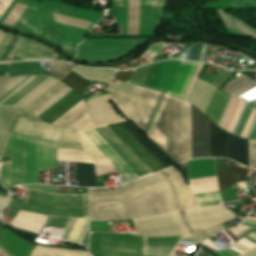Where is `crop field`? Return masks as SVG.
I'll return each mask as SVG.
<instances>
[{"label": "crop field", "mask_w": 256, "mask_h": 256, "mask_svg": "<svg viewBox=\"0 0 256 256\" xmlns=\"http://www.w3.org/2000/svg\"><path fill=\"white\" fill-rule=\"evenodd\" d=\"M198 206L181 177L127 197L89 199L90 221L126 220ZM235 218L220 205L203 206L133 219L137 235H184L210 229Z\"/></svg>", "instance_id": "1"}, {"label": "crop field", "mask_w": 256, "mask_h": 256, "mask_svg": "<svg viewBox=\"0 0 256 256\" xmlns=\"http://www.w3.org/2000/svg\"><path fill=\"white\" fill-rule=\"evenodd\" d=\"M66 87L67 86L65 84L59 81L25 108L33 113ZM134 87L135 86L133 85L124 84L117 81L116 85L112 84L107 91L130 98ZM70 91H72V89L67 87L44 106L34 112V114L36 116L41 115ZM81 101H83L81 96L73 90L45 113L39 116V118L52 124ZM85 105L91 120L96 126L124 121V119L120 117L110 106L106 97L88 101L85 103ZM86 110L83 101L58 121H56L53 125L57 127L75 128L77 131L95 127L88 117Z\"/></svg>", "instance_id": "2"}, {"label": "crop field", "mask_w": 256, "mask_h": 256, "mask_svg": "<svg viewBox=\"0 0 256 256\" xmlns=\"http://www.w3.org/2000/svg\"><path fill=\"white\" fill-rule=\"evenodd\" d=\"M124 123L167 167L172 165L157 149L152 147L128 121H124ZM124 123L120 122L109 126L133 149V151L154 172L166 168V166L144 145V143ZM94 129L84 130V132L119 165L124 183L140 178ZM84 132H78L84 152L58 149L57 160L94 164L95 176L108 172H120L118 165Z\"/></svg>", "instance_id": "3"}, {"label": "crop field", "mask_w": 256, "mask_h": 256, "mask_svg": "<svg viewBox=\"0 0 256 256\" xmlns=\"http://www.w3.org/2000/svg\"><path fill=\"white\" fill-rule=\"evenodd\" d=\"M57 148L83 151L81 144L48 141L19 133H12L3 156L11 164H2L0 179L9 191L19 184H36L38 172L56 168Z\"/></svg>", "instance_id": "4"}, {"label": "crop field", "mask_w": 256, "mask_h": 256, "mask_svg": "<svg viewBox=\"0 0 256 256\" xmlns=\"http://www.w3.org/2000/svg\"><path fill=\"white\" fill-rule=\"evenodd\" d=\"M53 195H85L55 193V187L21 186ZM26 190V200L9 198L6 207L49 216L45 225L66 228L71 217L86 216L85 196H53Z\"/></svg>", "instance_id": "5"}, {"label": "crop field", "mask_w": 256, "mask_h": 256, "mask_svg": "<svg viewBox=\"0 0 256 256\" xmlns=\"http://www.w3.org/2000/svg\"><path fill=\"white\" fill-rule=\"evenodd\" d=\"M202 65L176 60L160 61L133 70L128 83L148 87L185 100Z\"/></svg>", "instance_id": "6"}, {"label": "crop field", "mask_w": 256, "mask_h": 256, "mask_svg": "<svg viewBox=\"0 0 256 256\" xmlns=\"http://www.w3.org/2000/svg\"><path fill=\"white\" fill-rule=\"evenodd\" d=\"M169 95L160 93L144 133L160 148L165 150L168 139L155 130L158 120ZM161 133L170 139L165 152L179 163V131H178V99L169 97L162 116L156 127Z\"/></svg>", "instance_id": "7"}, {"label": "crop field", "mask_w": 256, "mask_h": 256, "mask_svg": "<svg viewBox=\"0 0 256 256\" xmlns=\"http://www.w3.org/2000/svg\"><path fill=\"white\" fill-rule=\"evenodd\" d=\"M25 77H0V96ZM57 80L43 76L26 77L0 97V106H26Z\"/></svg>", "instance_id": "8"}, {"label": "crop field", "mask_w": 256, "mask_h": 256, "mask_svg": "<svg viewBox=\"0 0 256 256\" xmlns=\"http://www.w3.org/2000/svg\"><path fill=\"white\" fill-rule=\"evenodd\" d=\"M88 250L98 256H142L143 238L132 235L91 234Z\"/></svg>", "instance_id": "9"}, {"label": "crop field", "mask_w": 256, "mask_h": 256, "mask_svg": "<svg viewBox=\"0 0 256 256\" xmlns=\"http://www.w3.org/2000/svg\"><path fill=\"white\" fill-rule=\"evenodd\" d=\"M158 94V92L137 87L131 99L119 95L109 96V98L144 131Z\"/></svg>", "instance_id": "10"}, {"label": "crop field", "mask_w": 256, "mask_h": 256, "mask_svg": "<svg viewBox=\"0 0 256 256\" xmlns=\"http://www.w3.org/2000/svg\"><path fill=\"white\" fill-rule=\"evenodd\" d=\"M211 157H225L248 166V140L228 134L210 122Z\"/></svg>", "instance_id": "11"}, {"label": "crop field", "mask_w": 256, "mask_h": 256, "mask_svg": "<svg viewBox=\"0 0 256 256\" xmlns=\"http://www.w3.org/2000/svg\"><path fill=\"white\" fill-rule=\"evenodd\" d=\"M14 131L48 140L80 143L75 129L57 128L45 122L22 117L19 118Z\"/></svg>", "instance_id": "12"}, {"label": "crop field", "mask_w": 256, "mask_h": 256, "mask_svg": "<svg viewBox=\"0 0 256 256\" xmlns=\"http://www.w3.org/2000/svg\"><path fill=\"white\" fill-rule=\"evenodd\" d=\"M180 175V172L173 167L127 185L118 186L117 190L109 191L108 188L90 189L89 198L127 196Z\"/></svg>", "instance_id": "13"}, {"label": "crop field", "mask_w": 256, "mask_h": 256, "mask_svg": "<svg viewBox=\"0 0 256 256\" xmlns=\"http://www.w3.org/2000/svg\"><path fill=\"white\" fill-rule=\"evenodd\" d=\"M107 143L130 165L140 176H145L153 171L131 150V148L110 128L96 130Z\"/></svg>", "instance_id": "14"}, {"label": "crop field", "mask_w": 256, "mask_h": 256, "mask_svg": "<svg viewBox=\"0 0 256 256\" xmlns=\"http://www.w3.org/2000/svg\"><path fill=\"white\" fill-rule=\"evenodd\" d=\"M192 158L210 157L209 120L191 106Z\"/></svg>", "instance_id": "15"}, {"label": "crop field", "mask_w": 256, "mask_h": 256, "mask_svg": "<svg viewBox=\"0 0 256 256\" xmlns=\"http://www.w3.org/2000/svg\"><path fill=\"white\" fill-rule=\"evenodd\" d=\"M134 49L135 46L81 45L77 59L89 62L111 61Z\"/></svg>", "instance_id": "16"}, {"label": "crop field", "mask_w": 256, "mask_h": 256, "mask_svg": "<svg viewBox=\"0 0 256 256\" xmlns=\"http://www.w3.org/2000/svg\"><path fill=\"white\" fill-rule=\"evenodd\" d=\"M56 52L24 37H20L11 55L14 61L20 60H51Z\"/></svg>", "instance_id": "17"}, {"label": "crop field", "mask_w": 256, "mask_h": 256, "mask_svg": "<svg viewBox=\"0 0 256 256\" xmlns=\"http://www.w3.org/2000/svg\"><path fill=\"white\" fill-rule=\"evenodd\" d=\"M199 206L219 204L220 196L215 177L188 181Z\"/></svg>", "instance_id": "18"}, {"label": "crop field", "mask_w": 256, "mask_h": 256, "mask_svg": "<svg viewBox=\"0 0 256 256\" xmlns=\"http://www.w3.org/2000/svg\"><path fill=\"white\" fill-rule=\"evenodd\" d=\"M8 108L17 115H20L22 117L40 120L24 107ZM9 109H7L6 107H0V155L4 149L7 139L12 131V128L17 120V115H15Z\"/></svg>", "instance_id": "19"}, {"label": "crop field", "mask_w": 256, "mask_h": 256, "mask_svg": "<svg viewBox=\"0 0 256 256\" xmlns=\"http://www.w3.org/2000/svg\"><path fill=\"white\" fill-rule=\"evenodd\" d=\"M180 162L191 159L190 104L179 100Z\"/></svg>", "instance_id": "20"}, {"label": "crop field", "mask_w": 256, "mask_h": 256, "mask_svg": "<svg viewBox=\"0 0 256 256\" xmlns=\"http://www.w3.org/2000/svg\"><path fill=\"white\" fill-rule=\"evenodd\" d=\"M0 247L12 256H29L35 246L0 225Z\"/></svg>", "instance_id": "21"}, {"label": "crop field", "mask_w": 256, "mask_h": 256, "mask_svg": "<svg viewBox=\"0 0 256 256\" xmlns=\"http://www.w3.org/2000/svg\"><path fill=\"white\" fill-rule=\"evenodd\" d=\"M181 236L149 238L145 237L144 255H170Z\"/></svg>", "instance_id": "22"}, {"label": "crop field", "mask_w": 256, "mask_h": 256, "mask_svg": "<svg viewBox=\"0 0 256 256\" xmlns=\"http://www.w3.org/2000/svg\"><path fill=\"white\" fill-rule=\"evenodd\" d=\"M215 89L216 88L200 80H196L187 101L191 102L193 105L199 108L203 113H205L208 107V104L215 92Z\"/></svg>", "instance_id": "23"}, {"label": "crop field", "mask_w": 256, "mask_h": 256, "mask_svg": "<svg viewBox=\"0 0 256 256\" xmlns=\"http://www.w3.org/2000/svg\"><path fill=\"white\" fill-rule=\"evenodd\" d=\"M62 239L72 241V242L87 244L88 217L72 218Z\"/></svg>", "instance_id": "24"}, {"label": "crop field", "mask_w": 256, "mask_h": 256, "mask_svg": "<svg viewBox=\"0 0 256 256\" xmlns=\"http://www.w3.org/2000/svg\"><path fill=\"white\" fill-rule=\"evenodd\" d=\"M46 219V216L19 211L10 225L39 233Z\"/></svg>", "instance_id": "25"}, {"label": "crop field", "mask_w": 256, "mask_h": 256, "mask_svg": "<svg viewBox=\"0 0 256 256\" xmlns=\"http://www.w3.org/2000/svg\"><path fill=\"white\" fill-rule=\"evenodd\" d=\"M219 189L222 190L247 178L248 170L234 166L232 169L216 168Z\"/></svg>", "instance_id": "26"}, {"label": "crop field", "mask_w": 256, "mask_h": 256, "mask_svg": "<svg viewBox=\"0 0 256 256\" xmlns=\"http://www.w3.org/2000/svg\"><path fill=\"white\" fill-rule=\"evenodd\" d=\"M256 86V83L246 78L245 76H240L232 81H230L222 91L227 94L233 95L235 97L241 95L242 93L248 91L249 89Z\"/></svg>", "instance_id": "27"}, {"label": "crop field", "mask_w": 256, "mask_h": 256, "mask_svg": "<svg viewBox=\"0 0 256 256\" xmlns=\"http://www.w3.org/2000/svg\"><path fill=\"white\" fill-rule=\"evenodd\" d=\"M72 71L80 74L86 80L104 82V83H108L110 80V77L114 73V70H110V69L90 70V69L79 68V67H75V66L73 67Z\"/></svg>", "instance_id": "28"}, {"label": "crop field", "mask_w": 256, "mask_h": 256, "mask_svg": "<svg viewBox=\"0 0 256 256\" xmlns=\"http://www.w3.org/2000/svg\"><path fill=\"white\" fill-rule=\"evenodd\" d=\"M78 186L95 187L93 165L76 163Z\"/></svg>", "instance_id": "29"}, {"label": "crop field", "mask_w": 256, "mask_h": 256, "mask_svg": "<svg viewBox=\"0 0 256 256\" xmlns=\"http://www.w3.org/2000/svg\"><path fill=\"white\" fill-rule=\"evenodd\" d=\"M223 22L224 25L249 37V38H256V31L251 29L250 27L246 26L245 24L241 23L240 21L236 20L235 18L231 17L230 15L222 12V11H218Z\"/></svg>", "instance_id": "30"}, {"label": "crop field", "mask_w": 256, "mask_h": 256, "mask_svg": "<svg viewBox=\"0 0 256 256\" xmlns=\"http://www.w3.org/2000/svg\"><path fill=\"white\" fill-rule=\"evenodd\" d=\"M32 254L37 256H90L85 251H70L66 249L48 248L36 245Z\"/></svg>", "instance_id": "31"}, {"label": "crop field", "mask_w": 256, "mask_h": 256, "mask_svg": "<svg viewBox=\"0 0 256 256\" xmlns=\"http://www.w3.org/2000/svg\"><path fill=\"white\" fill-rule=\"evenodd\" d=\"M20 36L0 31V62L7 60Z\"/></svg>", "instance_id": "32"}, {"label": "crop field", "mask_w": 256, "mask_h": 256, "mask_svg": "<svg viewBox=\"0 0 256 256\" xmlns=\"http://www.w3.org/2000/svg\"><path fill=\"white\" fill-rule=\"evenodd\" d=\"M138 0H128L127 34H137Z\"/></svg>", "instance_id": "33"}, {"label": "crop field", "mask_w": 256, "mask_h": 256, "mask_svg": "<svg viewBox=\"0 0 256 256\" xmlns=\"http://www.w3.org/2000/svg\"><path fill=\"white\" fill-rule=\"evenodd\" d=\"M203 47H205V45L201 42H198L176 58L187 61H201L203 55Z\"/></svg>", "instance_id": "34"}, {"label": "crop field", "mask_w": 256, "mask_h": 256, "mask_svg": "<svg viewBox=\"0 0 256 256\" xmlns=\"http://www.w3.org/2000/svg\"><path fill=\"white\" fill-rule=\"evenodd\" d=\"M62 81H64L65 83L72 86L73 88H75L78 91L85 89L91 85L90 83L83 80L82 78H80L79 76L75 75L72 72L70 74H68Z\"/></svg>", "instance_id": "35"}, {"label": "crop field", "mask_w": 256, "mask_h": 256, "mask_svg": "<svg viewBox=\"0 0 256 256\" xmlns=\"http://www.w3.org/2000/svg\"><path fill=\"white\" fill-rule=\"evenodd\" d=\"M222 230H224V228L222 227V225H220V226L212 228L210 230L185 235V236L182 237V239H185V240H205L207 237H209V236H211V235H213L217 232H220Z\"/></svg>", "instance_id": "36"}, {"label": "crop field", "mask_w": 256, "mask_h": 256, "mask_svg": "<svg viewBox=\"0 0 256 256\" xmlns=\"http://www.w3.org/2000/svg\"><path fill=\"white\" fill-rule=\"evenodd\" d=\"M254 244L248 242L245 239H242L237 244L233 245L231 248L227 250H223L230 254L231 256H240L245 251H247L249 248H251Z\"/></svg>", "instance_id": "37"}, {"label": "crop field", "mask_w": 256, "mask_h": 256, "mask_svg": "<svg viewBox=\"0 0 256 256\" xmlns=\"http://www.w3.org/2000/svg\"><path fill=\"white\" fill-rule=\"evenodd\" d=\"M165 46H167V44L165 43L154 44L150 48H148L144 54L141 55V58L147 59V60H157V59L165 58L157 54Z\"/></svg>", "instance_id": "38"}, {"label": "crop field", "mask_w": 256, "mask_h": 256, "mask_svg": "<svg viewBox=\"0 0 256 256\" xmlns=\"http://www.w3.org/2000/svg\"><path fill=\"white\" fill-rule=\"evenodd\" d=\"M26 6H27V3L18 1V3L16 4L12 12L9 14L7 19L5 20V23L14 25V23L16 22V20L18 19V17L23 12Z\"/></svg>", "instance_id": "39"}, {"label": "crop field", "mask_w": 256, "mask_h": 256, "mask_svg": "<svg viewBox=\"0 0 256 256\" xmlns=\"http://www.w3.org/2000/svg\"><path fill=\"white\" fill-rule=\"evenodd\" d=\"M232 72L233 71L222 70L218 77L210 74L209 78L207 79V82L214 84L217 88L220 89V87L223 85V83L226 81V79L230 76Z\"/></svg>", "instance_id": "40"}, {"label": "crop field", "mask_w": 256, "mask_h": 256, "mask_svg": "<svg viewBox=\"0 0 256 256\" xmlns=\"http://www.w3.org/2000/svg\"><path fill=\"white\" fill-rule=\"evenodd\" d=\"M70 67H71V65H68V64L58 63V62H50L48 73H55V74L62 75Z\"/></svg>", "instance_id": "41"}, {"label": "crop field", "mask_w": 256, "mask_h": 256, "mask_svg": "<svg viewBox=\"0 0 256 256\" xmlns=\"http://www.w3.org/2000/svg\"><path fill=\"white\" fill-rule=\"evenodd\" d=\"M54 17H55V21L58 23L71 25V26H75L83 29H86L87 26L89 25L88 23H84V22H80V21H76V20H72V19H68V18L56 16V15H54Z\"/></svg>", "instance_id": "42"}, {"label": "crop field", "mask_w": 256, "mask_h": 256, "mask_svg": "<svg viewBox=\"0 0 256 256\" xmlns=\"http://www.w3.org/2000/svg\"><path fill=\"white\" fill-rule=\"evenodd\" d=\"M256 228L253 227H249V226H243L240 225L237 228H235L233 231H231L235 237L239 240L242 237H244L247 233H250L251 231H253Z\"/></svg>", "instance_id": "43"}, {"label": "crop field", "mask_w": 256, "mask_h": 256, "mask_svg": "<svg viewBox=\"0 0 256 256\" xmlns=\"http://www.w3.org/2000/svg\"><path fill=\"white\" fill-rule=\"evenodd\" d=\"M256 165V141L249 140V167Z\"/></svg>", "instance_id": "44"}, {"label": "crop field", "mask_w": 256, "mask_h": 256, "mask_svg": "<svg viewBox=\"0 0 256 256\" xmlns=\"http://www.w3.org/2000/svg\"><path fill=\"white\" fill-rule=\"evenodd\" d=\"M131 72L132 70L127 72H117L114 78L126 82Z\"/></svg>", "instance_id": "45"}, {"label": "crop field", "mask_w": 256, "mask_h": 256, "mask_svg": "<svg viewBox=\"0 0 256 256\" xmlns=\"http://www.w3.org/2000/svg\"><path fill=\"white\" fill-rule=\"evenodd\" d=\"M10 229L22 234L23 236H25L28 239L34 240V238L36 237V234L30 233V232H27V231H24V230L12 228V227Z\"/></svg>", "instance_id": "46"}, {"label": "crop field", "mask_w": 256, "mask_h": 256, "mask_svg": "<svg viewBox=\"0 0 256 256\" xmlns=\"http://www.w3.org/2000/svg\"><path fill=\"white\" fill-rule=\"evenodd\" d=\"M12 0H0V18Z\"/></svg>", "instance_id": "47"}, {"label": "crop field", "mask_w": 256, "mask_h": 256, "mask_svg": "<svg viewBox=\"0 0 256 256\" xmlns=\"http://www.w3.org/2000/svg\"><path fill=\"white\" fill-rule=\"evenodd\" d=\"M0 194L1 195H5V196H7L8 194L6 193V191L0 186ZM0 195V199H4V200H6V198L7 197H5V196H1ZM4 200H0V210H1V208H2V206H3V204H4Z\"/></svg>", "instance_id": "48"}, {"label": "crop field", "mask_w": 256, "mask_h": 256, "mask_svg": "<svg viewBox=\"0 0 256 256\" xmlns=\"http://www.w3.org/2000/svg\"><path fill=\"white\" fill-rule=\"evenodd\" d=\"M242 224L256 227V218L247 217Z\"/></svg>", "instance_id": "49"}, {"label": "crop field", "mask_w": 256, "mask_h": 256, "mask_svg": "<svg viewBox=\"0 0 256 256\" xmlns=\"http://www.w3.org/2000/svg\"><path fill=\"white\" fill-rule=\"evenodd\" d=\"M241 256H256V246H254L253 248H251L249 251H247Z\"/></svg>", "instance_id": "50"}, {"label": "crop field", "mask_w": 256, "mask_h": 256, "mask_svg": "<svg viewBox=\"0 0 256 256\" xmlns=\"http://www.w3.org/2000/svg\"><path fill=\"white\" fill-rule=\"evenodd\" d=\"M252 233L250 235H248L247 237H245V238L249 239L251 242L256 244V235H254Z\"/></svg>", "instance_id": "51"}, {"label": "crop field", "mask_w": 256, "mask_h": 256, "mask_svg": "<svg viewBox=\"0 0 256 256\" xmlns=\"http://www.w3.org/2000/svg\"><path fill=\"white\" fill-rule=\"evenodd\" d=\"M205 245L213 248V249H216V250H220L216 245H214L209 239L208 241L205 243Z\"/></svg>", "instance_id": "52"}, {"label": "crop field", "mask_w": 256, "mask_h": 256, "mask_svg": "<svg viewBox=\"0 0 256 256\" xmlns=\"http://www.w3.org/2000/svg\"><path fill=\"white\" fill-rule=\"evenodd\" d=\"M197 256H209V255L205 254V253L202 252V251H199L198 254H197Z\"/></svg>", "instance_id": "53"}, {"label": "crop field", "mask_w": 256, "mask_h": 256, "mask_svg": "<svg viewBox=\"0 0 256 256\" xmlns=\"http://www.w3.org/2000/svg\"><path fill=\"white\" fill-rule=\"evenodd\" d=\"M0 256H10V255L0 250Z\"/></svg>", "instance_id": "54"}, {"label": "crop field", "mask_w": 256, "mask_h": 256, "mask_svg": "<svg viewBox=\"0 0 256 256\" xmlns=\"http://www.w3.org/2000/svg\"><path fill=\"white\" fill-rule=\"evenodd\" d=\"M252 104L256 107V101L252 102Z\"/></svg>", "instance_id": "55"}, {"label": "crop field", "mask_w": 256, "mask_h": 256, "mask_svg": "<svg viewBox=\"0 0 256 256\" xmlns=\"http://www.w3.org/2000/svg\"><path fill=\"white\" fill-rule=\"evenodd\" d=\"M248 72H252V71H248ZM252 73H254V72H252Z\"/></svg>", "instance_id": "56"}, {"label": "crop field", "mask_w": 256, "mask_h": 256, "mask_svg": "<svg viewBox=\"0 0 256 256\" xmlns=\"http://www.w3.org/2000/svg\"><path fill=\"white\" fill-rule=\"evenodd\" d=\"M30 256H34V255L30 254Z\"/></svg>", "instance_id": "57"}]
</instances>
